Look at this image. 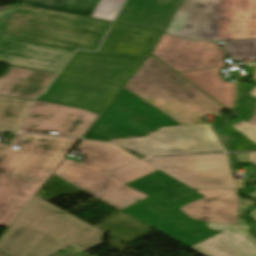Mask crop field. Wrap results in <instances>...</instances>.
<instances>
[{"label":"crop field","instance_id":"33","mask_svg":"<svg viewBox=\"0 0 256 256\" xmlns=\"http://www.w3.org/2000/svg\"><path fill=\"white\" fill-rule=\"evenodd\" d=\"M253 78L256 79V68H255V72H254Z\"/></svg>","mask_w":256,"mask_h":256},{"label":"crop field","instance_id":"7","mask_svg":"<svg viewBox=\"0 0 256 256\" xmlns=\"http://www.w3.org/2000/svg\"><path fill=\"white\" fill-rule=\"evenodd\" d=\"M123 87L182 125L206 123L200 118L223 109L151 55Z\"/></svg>","mask_w":256,"mask_h":256},{"label":"crop field","instance_id":"23","mask_svg":"<svg viewBox=\"0 0 256 256\" xmlns=\"http://www.w3.org/2000/svg\"><path fill=\"white\" fill-rule=\"evenodd\" d=\"M124 0H100L92 17L113 21Z\"/></svg>","mask_w":256,"mask_h":256},{"label":"crop field","instance_id":"21","mask_svg":"<svg viewBox=\"0 0 256 256\" xmlns=\"http://www.w3.org/2000/svg\"><path fill=\"white\" fill-rule=\"evenodd\" d=\"M223 48L233 60L256 61V39L229 41Z\"/></svg>","mask_w":256,"mask_h":256},{"label":"crop field","instance_id":"9","mask_svg":"<svg viewBox=\"0 0 256 256\" xmlns=\"http://www.w3.org/2000/svg\"><path fill=\"white\" fill-rule=\"evenodd\" d=\"M152 54L226 108L234 105L235 83L223 82L217 74L226 54L216 44L162 34Z\"/></svg>","mask_w":256,"mask_h":256},{"label":"crop field","instance_id":"16","mask_svg":"<svg viewBox=\"0 0 256 256\" xmlns=\"http://www.w3.org/2000/svg\"><path fill=\"white\" fill-rule=\"evenodd\" d=\"M206 198L191 203L181 210L201 221L236 224L239 197L236 190L197 191Z\"/></svg>","mask_w":256,"mask_h":256},{"label":"crop field","instance_id":"3","mask_svg":"<svg viewBox=\"0 0 256 256\" xmlns=\"http://www.w3.org/2000/svg\"><path fill=\"white\" fill-rule=\"evenodd\" d=\"M143 60L77 51L36 100L102 112Z\"/></svg>","mask_w":256,"mask_h":256},{"label":"crop field","instance_id":"27","mask_svg":"<svg viewBox=\"0 0 256 256\" xmlns=\"http://www.w3.org/2000/svg\"><path fill=\"white\" fill-rule=\"evenodd\" d=\"M252 205H253L252 200L240 198L237 224L247 223L245 220L242 219V216L244 214L245 209Z\"/></svg>","mask_w":256,"mask_h":256},{"label":"crop field","instance_id":"12","mask_svg":"<svg viewBox=\"0 0 256 256\" xmlns=\"http://www.w3.org/2000/svg\"><path fill=\"white\" fill-rule=\"evenodd\" d=\"M150 136L166 142L165 145L150 137L111 141L147 155H170L189 152L223 150L208 124L161 128Z\"/></svg>","mask_w":256,"mask_h":256},{"label":"crop field","instance_id":"34","mask_svg":"<svg viewBox=\"0 0 256 256\" xmlns=\"http://www.w3.org/2000/svg\"><path fill=\"white\" fill-rule=\"evenodd\" d=\"M253 232H254V234L256 235V226H255V228L253 229Z\"/></svg>","mask_w":256,"mask_h":256},{"label":"crop field","instance_id":"28","mask_svg":"<svg viewBox=\"0 0 256 256\" xmlns=\"http://www.w3.org/2000/svg\"><path fill=\"white\" fill-rule=\"evenodd\" d=\"M211 125H212V128H213L215 134L217 135L218 139L220 140V142L224 146V148L228 147L229 146V142H230L232 137H230V136H228L226 134L221 133L213 124H211Z\"/></svg>","mask_w":256,"mask_h":256},{"label":"crop field","instance_id":"5","mask_svg":"<svg viewBox=\"0 0 256 256\" xmlns=\"http://www.w3.org/2000/svg\"><path fill=\"white\" fill-rule=\"evenodd\" d=\"M129 186L149 198L122 212L190 247L220 231L210 230L206 222L189 218L179 208L205 196L179 184L160 171L136 180Z\"/></svg>","mask_w":256,"mask_h":256},{"label":"crop field","instance_id":"22","mask_svg":"<svg viewBox=\"0 0 256 256\" xmlns=\"http://www.w3.org/2000/svg\"><path fill=\"white\" fill-rule=\"evenodd\" d=\"M158 169L152 167L151 165L138 160L134 163H131L129 165H126L110 174L113 176L119 178L120 180L124 182L132 181L136 178H139L141 176H144L146 174L152 173Z\"/></svg>","mask_w":256,"mask_h":256},{"label":"crop field","instance_id":"20","mask_svg":"<svg viewBox=\"0 0 256 256\" xmlns=\"http://www.w3.org/2000/svg\"><path fill=\"white\" fill-rule=\"evenodd\" d=\"M29 100L0 97V130L18 131Z\"/></svg>","mask_w":256,"mask_h":256},{"label":"crop field","instance_id":"1","mask_svg":"<svg viewBox=\"0 0 256 256\" xmlns=\"http://www.w3.org/2000/svg\"><path fill=\"white\" fill-rule=\"evenodd\" d=\"M109 25L14 5L0 11V60L57 72L76 48L95 50Z\"/></svg>","mask_w":256,"mask_h":256},{"label":"crop field","instance_id":"8","mask_svg":"<svg viewBox=\"0 0 256 256\" xmlns=\"http://www.w3.org/2000/svg\"><path fill=\"white\" fill-rule=\"evenodd\" d=\"M76 150L86 154V159L77 163L65 158L53 174L120 210L148 197L107 174L138 159L134 155L95 141H81Z\"/></svg>","mask_w":256,"mask_h":256},{"label":"crop field","instance_id":"24","mask_svg":"<svg viewBox=\"0 0 256 256\" xmlns=\"http://www.w3.org/2000/svg\"><path fill=\"white\" fill-rule=\"evenodd\" d=\"M239 121L241 120L237 119L231 123L224 125L226 131H229L231 133H236V132L240 133L238 130H236L234 127L231 126ZM241 138L242 140L234 146V150H256V143L251 141L249 138H247L243 134L241 135Z\"/></svg>","mask_w":256,"mask_h":256},{"label":"crop field","instance_id":"11","mask_svg":"<svg viewBox=\"0 0 256 256\" xmlns=\"http://www.w3.org/2000/svg\"><path fill=\"white\" fill-rule=\"evenodd\" d=\"M193 189L234 188L225 154L143 159Z\"/></svg>","mask_w":256,"mask_h":256},{"label":"crop field","instance_id":"4","mask_svg":"<svg viewBox=\"0 0 256 256\" xmlns=\"http://www.w3.org/2000/svg\"><path fill=\"white\" fill-rule=\"evenodd\" d=\"M76 140L18 134L0 167V225L9 226ZM10 147L0 146V166Z\"/></svg>","mask_w":256,"mask_h":256},{"label":"crop field","instance_id":"26","mask_svg":"<svg viewBox=\"0 0 256 256\" xmlns=\"http://www.w3.org/2000/svg\"><path fill=\"white\" fill-rule=\"evenodd\" d=\"M255 104L256 99L247 94L243 102V111L240 114L239 119L247 123L255 112Z\"/></svg>","mask_w":256,"mask_h":256},{"label":"crop field","instance_id":"35","mask_svg":"<svg viewBox=\"0 0 256 256\" xmlns=\"http://www.w3.org/2000/svg\"><path fill=\"white\" fill-rule=\"evenodd\" d=\"M253 82H256V80H253Z\"/></svg>","mask_w":256,"mask_h":256},{"label":"crop field","instance_id":"30","mask_svg":"<svg viewBox=\"0 0 256 256\" xmlns=\"http://www.w3.org/2000/svg\"><path fill=\"white\" fill-rule=\"evenodd\" d=\"M247 196L256 198V187H255L251 192H249V193L247 194ZM249 216H250L252 219L256 220V209L253 210V211H251L250 214H249Z\"/></svg>","mask_w":256,"mask_h":256},{"label":"crop field","instance_id":"19","mask_svg":"<svg viewBox=\"0 0 256 256\" xmlns=\"http://www.w3.org/2000/svg\"><path fill=\"white\" fill-rule=\"evenodd\" d=\"M99 0H24V5L91 17Z\"/></svg>","mask_w":256,"mask_h":256},{"label":"crop field","instance_id":"14","mask_svg":"<svg viewBox=\"0 0 256 256\" xmlns=\"http://www.w3.org/2000/svg\"><path fill=\"white\" fill-rule=\"evenodd\" d=\"M222 232L190 247L203 256H256V238L249 233L250 225L206 223Z\"/></svg>","mask_w":256,"mask_h":256},{"label":"crop field","instance_id":"10","mask_svg":"<svg viewBox=\"0 0 256 256\" xmlns=\"http://www.w3.org/2000/svg\"><path fill=\"white\" fill-rule=\"evenodd\" d=\"M180 125L167 115L122 88L89 129L107 140L148 136L160 127Z\"/></svg>","mask_w":256,"mask_h":256},{"label":"crop field","instance_id":"32","mask_svg":"<svg viewBox=\"0 0 256 256\" xmlns=\"http://www.w3.org/2000/svg\"><path fill=\"white\" fill-rule=\"evenodd\" d=\"M249 161L256 165V153H249Z\"/></svg>","mask_w":256,"mask_h":256},{"label":"crop field","instance_id":"6","mask_svg":"<svg viewBox=\"0 0 256 256\" xmlns=\"http://www.w3.org/2000/svg\"><path fill=\"white\" fill-rule=\"evenodd\" d=\"M165 34L190 40L256 38V0H182Z\"/></svg>","mask_w":256,"mask_h":256},{"label":"crop field","instance_id":"17","mask_svg":"<svg viewBox=\"0 0 256 256\" xmlns=\"http://www.w3.org/2000/svg\"><path fill=\"white\" fill-rule=\"evenodd\" d=\"M179 0H127L115 21L163 30Z\"/></svg>","mask_w":256,"mask_h":256},{"label":"crop field","instance_id":"13","mask_svg":"<svg viewBox=\"0 0 256 256\" xmlns=\"http://www.w3.org/2000/svg\"><path fill=\"white\" fill-rule=\"evenodd\" d=\"M96 117L81 109L33 101L22 127L28 133L49 135L54 131L58 136L80 138Z\"/></svg>","mask_w":256,"mask_h":256},{"label":"crop field","instance_id":"15","mask_svg":"<svg viewBox=\"0 0 256 256\" xmlns=\"http://www.w3.org/2000/svg\"><path fill=\"white\" fill-rule=\"evenodd\" d=\"M116 23L98 51L144 59L160 32Z\"/></svg>","mask_w":256,"mask_h":256},{"label":"crop field","instance_id":"25","mask_svg":"<svg viewBox=\"0 0 256 256\" xmlns=\"http://www.w3.org/2000/svg\"><path fill=\"white\" fill-rule=\"evenodd\" d=\"M233 126L247 137H249L251 140L256 142V112L247 124L241 121Z\"/></svg>","mask_w":256,"mask_h":256},{"label":"crop field","instance_id":"29","mask_svg":"<svg viewBox=\"0 0 256 256\" xmlns=\"http://www.w3.org/2000/svg\"><path fill=\"white\" fill-rule=\"evenodd\" d=\"M82 138L91 139V140H99V141H106L105 139L101 138L100 136L94 134L91 131H87Z\"/></svg>","mask_w":256,"mask_h":256},{"label":"crop field","instance_id":"31","mask_svg":"<svg viewBox=\"0 0 256 256\" xmlns=\"http://www.w3.org/2000/svg\"><path fill=\"white\" fill-rule=\"evenodd\" d=\"M236 158L238 162H248V153H238Z\"/></svg>","mask_w":256,"mask_h":256},{"label":"crop field","instance_id":"2","mask_svg":"<svg viewBox=\"0 0 256 256\" xmlns=\"http://www.w3.org/2000/svg\"><path fill=\"white\" fill-rule=\"evenodd\" d=\"M104 232L34 197L0 238L13 256H49L69 245L85 252L103 244Z\"/></svg>","mask_w":256,"mask_h":256},{"label":"crop field","instance_id":"18","mask_svg":"<svg viewBox=\"0 0 256 256\" xmlns=\"http://www.w3.org/2000/svg\"><path fill=\"white\" fill-rule=\"evenodd\" d=\"M55 73L11 67L0 77V95L32 99L41 94Z\"/></svg>","mask_w":256,"mask_h":256},{"label":"crop field","instance_id":"36","mask_svg":"<svg viewBox=\"0 0 256 256\" xmlns=\"http://www.w3.org/2000/svg\"><path fill=\"white\" fill-rule=\"evenodd\" d=\"M256 98V96H254Z\"/></svg>","mask_w":256,"mask_h":256}]
</instances>
